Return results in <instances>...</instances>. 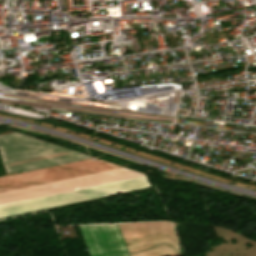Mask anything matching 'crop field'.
Returning a JSON list of instances; mask_svg holds the SVG:
<instances>
[{
	"label": "crop field",
	"mask_w": 256,
	"mask_h": 256,
	"mask_svg": "<svg viewBox=\"0 0 256 256\" xmlns=\"http://www.w3.org/2000/svg\"><path fill=\"white\" fill-rule=\"evenodd\" d=\"M130 256H158L179 250L168 222L117 224ZM116 224L79 226L91 256H129Z\"/></svg>",
	"instance_id": "crop-field-2"
},
{
	"label": "crop field",
	"mask_w": 256,
	"mask_h": 256,
	"mask_svg": "<svg viewBox=\"0 0 256 256\" xmlns=\"http://www.w3.org/2000/svg\"><path fill=\"white\" fill-rule=\"evenodd\" d=\"M0 154L8 172L54 166L88 156L19 133L0 137ZM120 167L90 159L0 178V192ZM143 174L120 167L33 187L0 193V205L100 185ZM149 187L144 176L0 206V218Z\"/></svg>",
	"instance_id": "crop-field-1"
}]
</instances>
